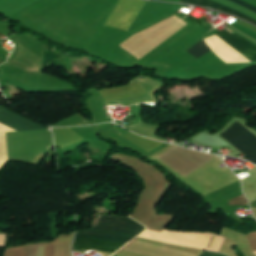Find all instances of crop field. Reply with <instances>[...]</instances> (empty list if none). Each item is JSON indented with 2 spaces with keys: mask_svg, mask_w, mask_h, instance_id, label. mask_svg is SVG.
I'll list each match as a JSON object with an SVG mask.
<instances>
[{
  "mask_svg": "<svg viewBox=\"0 0 256 256\" xmlns=\"http://www.w3.org/2000/svg\"><path fill=\"white\" fill-rule=\"evenodd\" d=\"M144 229L128 217L100 215L95 227L76 232V236L110 238L128 242ZM110 239L75 237L73 249L113 253L125 244V242Z\"/></svg>",
  "mask_w": 256,
  "mask_h": 256,
  "instance_id": "1",
  "label": "crop field"
},
{
  "mask_svg": "<svg viewBox=\"0 0 256 256\" xmlns=\"http://www.w3.org/2000/svg\"><path fill=\"white\" fill-rule=\"evenodd\" d=\"M246 157L244 159L256 164V136L238 122L220 134Z\"/></svg>",
  "mask_w": 256,
  "mask_h": 256,
  "instance_id": "2",
  "label": "crop field"
},
{
  "mask_svg": "<svg viewBox=\"0 0 256 256\" xmlns=\"http://www.w3.org/2000/svg\"><path fill=\"white\" fill-rule=\"evenodd\" d=\"M144 3L143 0H119L105 25L128 31Z\"/></svg>",
  "mask_w": 256,
  "mask_h": 256,
  "instance_id": "3",
  "label": "crop field"
},
{
  "mask_svg": "<svg viewBox=\"0 0 256 256\" xmlns=\"http://www.w3.org/2000/svg\"><path fill=\"white\" fill-rule=\"evenodd\" d=\"M235 23L256 33V27H254L248 23H245L241 20H238ZM215 35L218 36L220 39H222L224 42H226L228 45H230L232 48H234L237 52H239L241 55H243L249 61H251L252 63H256V47L255 46L248 43L247 41L240 38L239 36H237L235 34L232 35L224 30Z\"/></svg>",
  "mask_w": 256,
  "mask_h": 256,
  "instance_id": "4",
  "label": "crop field"
},
{
  "mask_svg": "<svg viewBox=\"0 0 256 256\" xmlns=\"http://www.w3.org/2000/svg\"><path fill=\"white\" fill-rule=\"evenodd\" d=\"M0 123L7 125L17 131L45 128L5 109L2 106H0Z\"/></svg>",
  "mask_w": 256,
  "mask_h": 256,
  "instance_id": "5",
  "label": "crop field"
},
{
  "mask_svg": "<svg viewBox=\"0 0 256 256\" xmlns=\"http://www.w3.org/2000/svg\"><path fill=\"white\" fill-rule=\"evenodd\" d=\"M99 91L104 100L119 99L147 93L139 82L120 87L101 89Z\"/></svg>",
  "mask_w": 256,
  "mask_h": 256,
  "instance_id": "6",
  "label": "crop field"
},
{
  "mask_svg": "<svg viewBox=\"0 0 256 256\" xmlns=\"http://www.w3.org/2000/svg\"><path fill=\"white\" fill-rule=\"evenodd\" d=\"M231 1L236 2L238 4H241V5H243V6H245V7H247V8L256 12V7H254L252 5H249V4H247L245 2H242L240 0H231ZM180 2L187 3V4H193V5H199V6H203V7H210V8L216 9V10H220V11L226 12L228 14L234 15L236 17L242 18L244 20H247V21L256 25L255 20H253V19H251V18H249V17H247V16H245V15H243V14H241V13L235 11V10H232V9L227 8L225 6H222V5H219L217 3L211 2L209 0H180Z\"/></svg>",
  "mask_w": 256,
  "mask_h": 256,
  "instance_id": "7",
  "label": "crop field"
},
{
  "mask_svg": "<svg viewBox=\"0 0 256 256\" xmlns=\"http://www.w3.org/2000/svg\"><path fill=\"white\" fill-rule=\"evenodd\" d=\"M55 145L60 148L82 140L68 128H53Z\"/></svg>",
  "mask_w": 256,
  "mask_h": 256,
  "instance_id": "8",
  "label": "crop field"
},
{
  "mask_svg": "<svg viewBox=\"0 0 256 256\" xmlns=\"http://www.w3.org/2000/svg\"><path fill=\"white\" fill-rule=\"evenodd\" d=\"M125 138H127L128 140H130L131 142H133L134 144H136L137 146L141 147L142 149H144L145 151H150L153 148L159 146L160 142H156L153 140H149L146 138H142V137H138L133 133H128L126 136H124Z\"/></svg>",
  "mask_w": 256,
  "mask_h": 256,
  "instance_id": "9",
  "label": "crop field"
},
{
  "mask_svg": "<svg viewBox=\"0 0 256 256\" xmlns=\"http://www.w3.org/2000/svg\"><path fill=\"white\" fill-rule=\"evenodd\" d=\"M188 51L190 54H192L197 59L204 56L205 54L211 52L210 49L207 47V45L204 43V41H200L196 45L189 48Z\"/></svg>",
  "mask_w": 256,
  "mask_h": 256,
  "instance_id": "10",
  "label": "crop field"
},
{
  "mask_svg": "<svg viewBox=\"0 0 256 256\" xmlns=\"http://www.w3.org/2000/svg\"><path fill=\"white\" fill-rule=\"evenodd\" d=\"M201 256H224V255L216 254V253L204 252Z\"/></svg>",
  "mask_w": 256,
  "mask_h": 256,
  "instance_id": "11",
  "label": "crop field"
},
{
  "mask_svg": "<svg viewBox=\"0 0 256 256\" xmlns=\"http://www.w3.org/2000/svg\"><path fill=\"white\" fill-rule=\"evenodd\" d=\"M4 35L0 33V38L3 37Z\"/></svg>",
  "mask_w": 256,
  "mask_h": 256,
  "instance_id": "12",
  "label": "crop field"
},
{
  "mask_svg": "<svg viewBox=\"0 0 256 256\" xmlns=\"http://www.w3.org/2000/svg\"><path fill=\"white\" fill-rule=\"evenodd\" d=\"M3 63V61L0 60V64Z\"/></svg>",
  "mask_w": 256,
  "mask_h": 256,
  "instance_id": "13",
  "label": "crop field"
}]
</instances>
